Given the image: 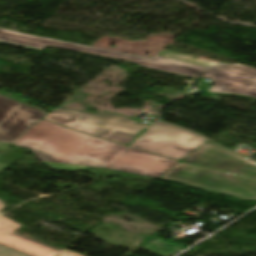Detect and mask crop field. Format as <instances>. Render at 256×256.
I'll return each instance as SVG.
<instances>
[{
  "mask_svg": "<svg viewBox=\"0 0 256 256\" xmlns=\"http://www.w3.org/2000/svg\"><path fill=\"white\" fill-rule=\"evenodd\" d=\"M205 141L191 131L156 122L130 146L181 160Z\"/></svg>",
  "mask_w": 256,
  "mask_h": 256,
  "instance_id": "crop-field-5",
  "label": "crop field"
},
{
  "mask_svg": "<svg viewBox=\"0 0 256 256\" xmlns=\"http://www.w3.org/2000/svg\"><path fill=\"white\" fill-rule=\"evenodd\" d=\"M202 190L256 200V179L178 163L160 177Z\"/></svg>",
  "mask_w": 256,
  "mask_h": 256,
  "instance_id": "crop-field-4",
  "label": "crop field"
},
{
  "mask_svg": "<svg viewBox=\"0 0 256 256\" xmlns=\"http://www.w3.org/2000/svg\"><path fill=\"white\" fill-rule=\"evenodd\" d=\"M0 43L43 51L49 45L122 59L143 67L165 70L194 78L214 80V86L204 90L211 95H233L256 100V68L241 64H226L183 55L161 53L149 59L104 49L72 44L0 29Z\"/></svg>",
  "mask_w": 256,
  "mask_h": 256,
  "instance_id": "crop-field-2",
  "label": "crop field"
},
{
  "mask_svg": "<svg viewBox=\"0 0 256 256\" xmlns=\"http://www.w3.org/2000/svg\"><path fill=\"white\" fill-rule=\"evenodd\" d=\"M56 256H83L79 253H76L74 251H71V250H68V249H65L64 251L60 252L58 255Z\"/></svg>",
  "mask_w": 256,
  "mask_h": 256,
  "instance_id": "crop-field-10",
  "label": "crop field"
},
{
  "mask_svg": "<svg viewBox=\"0 0 256 256\" xmlns=\"http://www.w3.org/2000/svg\"><path fill=\"white\" fill-rule=\"evenodd\" d=\"M47 113L0 95V141L12 144Z\"/></svg>",
  "mask_w": 256,
  "mask_h": 256,
  "instance_id": "crop-field-6",
  "label": "crop field"
},
{
  "mask_svg": "<svg viewBox=\"0 0 256 256\" xmlns=\"http://www.w3.org/2000/svg\"><path fill=\"white\" fill-rule=\"evenodd\" d=\"M3 207V204L0 202V209Z\"/></svg>",
  "mask_w": 256,
  "mask_h": 256,
  "instance_id": "crop-field-11",
  "label": "crop field"
},
{
  "mask_svg": "<svg viewBox=\"0 0 256 256\" xmlns=\"http://www.w3.org/2000/svg\"><path fill=\"white\" fill-rule=\"evenodd\" d=\"M45 119L89 135L128 145L148 125L131 121L123 116L105 117L93 113L55 108Z\"/></svg>",
  "mask_w": 256,
  "mask_h": 256,
  "instance_id": "crop-field-3",
  "label": "crop field"
},
{
  "mask_svg": "<svg viewBox=\"0 0 256 256\" xmlns=\"http://www.w3.org/2000/svg\"><path fill=\"white\" fill-rule=\"evenodd\" d=\"M183 161L256 178V162L212 144H204Z\"/></svg>",
  "mask_w": 256,
  "mask_h": 256,
  "instance_id": "crop-field-7",
  "label": "crop field"
},
{
  "mask_svg": "<svg viewBox=\"0 0 256 256\" xmlns=\"http://www.w3.org/2000/svg\"><path fill=\"white\" fill-rule=\"evenodd\" d=\"M1 216V215H0ZM20 225L0 217V243L32 256H55L58 252L10 235Z\"/></svg>",
  "mask_w": 256,
  "mask_h": 256,
  "instance_id": "crop-field-8",
  "label": "crop field"
},
{
  "mask_svg": "<svg viewBox=\"0 0 256 256\" xmlns=\"http://www.w3.org/2000/svg\"><path fill=\"white\" fill-rule=\"evenodd\" d=\"M12 145L32 149L43 164L64 171L106 168L159 178L178 163L44 120Z\"/></svg>",
  "mask_w": 256,
  "mask_h": 256,
  "instance_id": "crop-field-1",
  "label": "crop field"
},
{
  "mask_svg": "<svg viewBox=\"0 0 256 256\" xmlns=\"http://www.w3.org/2000/svg\"><path fill=\"white\" fill-rule=\"evenodd\" d=\"M0 256H26V255L0 246Z\"/></svg>",
  "mask_w": 256,
  "mask_h": 256,
  "instance_id": "crop-field-9",
  "label": "crop field"
}]
</instances>
